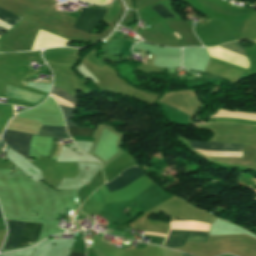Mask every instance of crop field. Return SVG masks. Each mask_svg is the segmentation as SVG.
I'll use <instances>...</instances> for the list:
<instances>
[{
    "instance_id": "1",
    "label": "crop field",
    "mask_w": 256,
    "mask_h": 256,
    "mask_svg": "<svg viewBox=\"0 0 256 256\" xmlns=\"http://www.w3.org/2000/svg\"><path fill=\"white\" fill-rule=\"evenodd\" d=\"M9 227V234L3 250L16 247L19 237L26 222L6 220ZM42 224L27 222L18 242V247H26L38 240Z\"/></svg>"
},
{
    "instance_id": "2",
    "label": "crop field",
    "mask_w": 256,
    "mask_h": 256,
    "mask_svg": "<svg viewBox=\"0 0 256 256\" xmlns=\"http://www.w3.org/2000/svg\"><path fill=\"white\" fill-rule=\"evenodd\" d=\"M105 11L106 9L83 8L74 25V29L89 33L99 25Z\"/></svg>"
},
{
    "instance_id": "3",
    "label": "crop field",
    "mask_w": 256,
    "mask_h": 256,
    "mask_svg": "<svg viewBox=\"0 0 256 256\" xmlns=\"http://www.w3.org/2000/svg\"><path fill=\"white\" fill-rule=\"evenodd\" d=\"M33 135L6 130L3 139L7 146L22 153L28 159V147Z\"/></svg>"
},
{
    "instance_id": "4",
    "label": "crop field",
    "mask_w": 256,
    "mask_h": 256,
    "mask_svg": "<svg viewBox=\"0 0 256 256\" xmlns=\"http://www.w3.org/2000/svg\"><path fill=\"white\" fill-rule=\"evenodd\" d=\"M143 174L144 173L136 167L129 168L124 170L116 179L112 180L109 183H106L105 185L109 189V191L112 192L114 190L123 188L124 186L139 178Z\"/></svg>"
},
{
    "instance_id": "5",
    "label": "crop field",
    "mask_w": 256,
    "mask_h": 256,
    "mask_svg": "<svg viewBox=\"0 0 256 256\" xmlns=\"http://www.w3.org/2000/svg\"><path fill=\"white\" fill-rule=\"evenodd\" d=\"M57 103H59V102H57ZM59 104L67 105V104H63V103H59ZM62 105H59V106L64 114L67 126L76 125L72 119L74 111H75V108H73V107H75V106L67 107V106H71V105H67V106H62ZM67 128H68V133L70 136L83 135V136L91 137L93 134V131H94L92 129H86V128L79 127V126H72V127H67Z\"/></svg>"
},
{
    "instance_id": "6",
    "label": "crop field",
    "mask_w": 256,
    "mask_h": 256,
    "mask_svg": "<svg viewBox=\"0 0 256 256\" xmlns=\"http://www.w3.org/2000/svg\"><path fill=\"white\" fill-rule=\"evenodd\" d=\"M191 148L204 149L210 151H233V152H242L243 145L236 144H223L216 142L208 143H196L190 141Z\"/></svg>"
},
{
    "instance_id": "7",
    "label": "crop field",
    "mask_w": 256,
    "mask_h": 256,
    "mask_svg": "<svg viewBox=\"0 0 256 256\" xmlns=\"http://www.w3.org/2000/svg\"><path fill=\"white\" fill-rule=\"evenodd\" d=\"M208 232L171 230L164 243L167 246L179 247L184 244L189 234L207 235Z\"/></svg>"
},
{
    "instance_id": "8",
    "label": "crop field",
    "mask_w": 256,
    "mask_h": 256,
    "mask_svg": "<svg viewBox=\"0 0 256 256\" xmlns=\"http://www.w3.org/2000/svg\"><path fill=\"white\" fill-rule=\"evenodd\" d=\"M4 95L12 97V98L19 99V100H22V101H26V102H29V103H33V104H35L41 98H43V96H39V95H36V94H32V93L25 92V91L15 89V88H12V87H8V86L6 87V91H5Z\"/></svg>"
},
{
    "instance_id": "9",
    "label": "crop field",
    "mask_w": 256,
    "mask_h": 256,
    "mask_svg": "<svg viewBox=\"0 0 256 256\" xmlns=\"http://www.w3.org/2000/svg\"><path fill=\"white\" fill-rule=\"evenodd\" d=\"M38 135L48 136V137H65V138H70L67 135L65 127H51V126H45V125H43L40 128Z\"/></svg>"
},
{
    "instance_id": "10",
    "label": "crop field",
    "mask_w": 256,
    "mask_h": 256,
    "mask_svg": "<svg viewBox=\"0 0 256 256\" xmlns=\"http://www.w3.org/2000/svg\"><path fill=\"white\" fill-rule=\"evenodd\" d=\"M0 19L11 24V25H15L17 22H19L21 20V18L3 10L0 8ZM8 31V29L0 26V37L6 33Z\"/></svg>"
},
{
    "instance_id": "11",
    "label": "crop field",
    "mask_w": 256,
    "mask_h": 256,
    "mask_svg": "<svg viewBox=\"0 0 256 256\" xmlns=\"http://www.w3.org/2000/svg\"><path fill=\"white\" fill-rule=\"evenodd\" d=\"M51 93H53V94H55V95H57V96H59V97L65 99V100H67V101H69V102H71V103H73V104H77V102H78V101L75 99V97L69 95L68 93H66L65 91H63V90H61V89H59V88H57V87H53ZM53 94H51V95L54 97V99H55L56 101L71 104V103H69V102H67V101H65V100H63V99H61V98H59V97H57V96H55V95H53ZM73 104H71V105H73Z\"/></svg>"
},
{
    "instance_id": "12",
    "label": "crop field",
    "mask_w": 256,
    "mask_h": 256,
    "mask_svg": "<svg viewBox=\"0 0 256 256\" xmlns=\"http://www.w3.org/2000/svg\"><path fill=\"white\" fill-rule=\"evenodd\" d=\"M218 47H221V48H224L226 50H229V51L238 53L240 55L246 56L245 52H244V47H242L239 44V42H232V43H228V44L221 45V46H218Z\"/></svg>"
},
{
    "instance_id": "13",
    "label": "crop field",
    "mask_w": 256,
    "mask_h": 256,
    "mask_svg": "<svg viewBox=\"0 0 256 256\" xmlns=\"http://www.w3.org/2000/svg\"><path fill=\"white\" fill-rule=\"evenodd\" d=\"M163 19L175 18L162 4L151 6Z\"/></svg>"
},
{
    "instance_id": "14",
    "label": "crop field",
    "mask_w": 256,
    "mask_h": 256,
    "mask_svg": "<svg viewBox=\"0 0 256 256\" xmlns=\"http://www.w3.org/2000/svg\"><path fill=\"white\" fill-rule=\"evenodd\" d=\"M210 121L211 122H215V121H231V122H236V123H244V124L256 125V122L237 120V119H231V118H216V119H210Z\"/></svg>"
},
{
    "instance_id": "15",
    "label": "crop field",
    "mask_w": 256,
    "mask_h": 256,
    "mask_svg": "<svg viewBox=\"0 0 256 256\" xmlns=\"http://www.w3.org/2000/svg\"><path fill=\"white\" fill-rule=\"evenodd\" d=\"M207 236H199V235H189L187 241H200L205 242Z\"/></svg>"
},
{
    "instance_id": "16",
    "label": "crop field",
    "mask_w": 256,
    "mask_h": 256,
    "mask_svg": "<svg viewBox=\"0 0 256 256\" xmlns=\"http://www.w3.org/2000/svg\"><path fill=\"white\" fill-rule=\"evenodd\" d=\"M70 256H85V254L71 252Z\"/></svg>"
},
{
    "instance_id": "17",
    "label": "crop field",
    "mask_w": 256,
    "mask_h": 256,
    "mask_svg": "<svg viewBox=\"0 0 256 256\" xmlns=\"http://www.w3.org/2000/svg\"><path fill=\"white\" fill-rule=\"evenodd\" d=\"M146 234H153V235L162 236V237L165 236V235H163V234H158V233H148V232H146Z\"/></svg>"
},
{
    "instance_id": "18",
    "label": "crop field",
    "mask_w": 256,
    "mask_h": 256,
    "mask_svg": "<svg viewBox=\"0 0 256 256\" xmlns=\"http://www.w3.org/2000/svg\"><path fill=\"white\" fill-rule=\"evenodd\" d=\"M253 4L256 5V2H254Z\"/></svg>"
},
{
    "instance_id": "19",
    "label": "crop field",
    "mask_w": 256,
    "mask_h": 256,
    "mask_svg": "<svg viewBox=\"0 0 256 256\" xmlns=\"http://www.w3.org/2000/svg\"><path fill=\"white\" fill-rule=\"evenodd\" d=\"M175 35V34H174ZM176 36V35H175ZM177 37V36H176ZM178 38V37H177ZM179 39V38H178Z\"/></svg>"
},
{
    "instance_id": "20",
    "label": "crop field",
    "mask_w": 256,
    "mask_h": 256,
    "mask_svg": "<svg viewBox=\"0 0 256 256\" xmlns=\"http://www.w3.org/2000/svg\"><path fill=\"white\" fill-rule=\"evenodd\" d=\"M176 34V33H175ZM177 35V34H176ZM178 36V35H177ZM179 37V36H178ZM180 38V37H179Z\"/></svg>"
},
{
    "instance_id": "21",
    "label": "crop field",
    "mask_w": 256,
    "mask_h": 256,
    "mask_svg": "<svg viewBox=\"0 0 256 256\" xmlns=\"http://www.w3.org/2000/svg\"><path fill=\"white\" fill-rule=\"evenodd\" d=\"M111 1V0H110ZM110 3V2H109Z\"/></svg>"
},
{
    "instance_id": "22",
    "label": "crop field",
    "mask_w": 256,
    "mask_h": 256,
    "mask_svg": "<svg viewBox=\"0 0 256 256\" xmlns=\"http://www.w3.org/2000/svg\"><path fill=\"white\" fill-rule=\"evenodd\" d=\"M1 218V217H0Z\"/></svg>"
}]
</instances>
